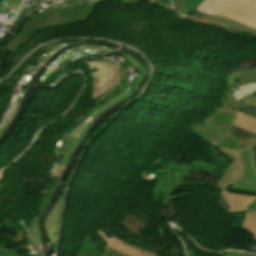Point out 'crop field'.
I'll list each match as a JSON object with an SVG mask.
<instances>
[{
	"mask_svg": "<svg viewBox=\"0 0 256 256\" xmlns=\"http://www.w3.org/2000/svg\"><path fill=\"white\" fill-rule=\"evenodd\" d=\"M136 1L139 0H122L123 3L127 4ZM96 3H102V0H72L68 7L62 8L60 4H57L59 9L55 11L52 6L46 7L44 17L28 14L25 19L26 24L21 32L4 50L15 54L18 48L31 37L30 35L49 26L70 25L87 21Z\"/></svg>",
	"mask_w": 256,
	"mask_h": 256,
	"instance_id": "crop-field-1",
	"label": "crop field"
},
{
	"mask_svg": "<svg viewBox=\"0 0 256 256\" xmlns=\"http://www.w3.org/2000/svg\"><path fill=\"white\" fill-rule=\"evenodd\" d=\"M197 10L225 16L256 29V0H206Z\"/></svg>",
	"mask_w": 256,
	"mask_h": 256,
	"instance_id": "crop-field-2",
	"label": "crop field"
},
{
	"mask_svg": "<svg viewBox=\"0 0 256 256\" xmlns=\"http://www.w3.org/2000/svg\"><path fill=\"white\" fill-rule=\"evenodd\" d=\"M84 63L98 69L96 72H91L93 99L108 92L119 81L121 70L118 66L101 60L88 61Z\"/></svg>",
	"mask_w": 256,
	"mask_h": 256,
	"instance_id": "crop-field-3",
	"label": "crop field"
},
{
	"mask_svg": "<svg viewBox=\"0 0 256 256\" xmlns=\"http://www.w3.org/2000/svg\"><path fill=\"white\" fill-rule=\"evenodd\" d=\"M228 90L234 98H242L256 93V69L242 73L232 74L227 78Z\"/></svg>",
	"mask_w": 256,
	"mask_h": 256,
	"instance_id": "crop-field-4",
	"label": "crop field"
},
{
	"mask_svg": "<svg viewBox=\"0 0 256 256\" xmlns=\"http://www.w3.org/2000/svg\"><path fill=\"white\" fill-rule=\"evenodd\" d=\"M241 155L244 166V176L229 188L256 193V174L254 173L251 160V151H241Z\"/></svg>",
	"mask_w": 256,
	"mask_h": 256,
	"instance_id": "crop-field-5",
	"label": "crop field"
},
{
	"mask_svg": "<svg viewBox=\"0 0 256 256\" xmlns=\"http://www.w3.org/2000/svg\"><path fill=\"white\" fill-rule=\"evenodd\" d=\"M221 151H223L225 154L236 157V159L233 161L231 168L229 171L225 172L223 176L217 181L216 186L219 189H225L228 188L232 183L239 180L243 176V167H242V160L241 155L238 156L237 152H230L228 150L219 148Z\"/></svg>",
	"mask_w": 256,
	"mask_h": 256,
	"instance_id": "crop-field-6",
	"label": "crop field"
},
{
	"mask_svg": "<svg viewBox=\"0 0 256 256\" xmlns=\"http://www.w3.org/2000/svg\"><path fill=\"white\" fill-rule=\"evenodd\" d=\"M221 196L230 207L226 212L234 213L246 210L251 202L256 198L253 196L239 195L228 193L226 190H221Z\"/></svg>",
	"mask_w": 256,
	"mask_h": 256,
	"instance_id": "crop-field-7",
	"label": "crop field"
},
{
	"mask_svg": "<svg viewBox=\"0 0 256 256\" xmlns=\"http://www.w3.org/2000/svg\"><path fill=\"white\" fill-rule=\"evenodd\" d=\"M204 123V126L196 125L190 129L194 131L197 135H199L202 139H204L207 143H211L212 141H218L226 134V132H224L225 130L223 131L215 124L207 120H205Z\"/></svg>",
	"mask_w": 256,
	"mask_h": 256,
	"instance_id": "crop-field-8",
	"label": "crop field"
},
{
	"mask_svg": "<svg viewBox=\"0 0 256 256\" xmlns=\"http://www.w3.org/2000/svg\"><path fill=\"white\" fill-rule=\"evenodd\" d=\"M188 17H194V18H200V19H208V20H216V21H220V22H224L226 23L227 25L235 28V29H238L240 31H243V32H246V33H250V34H253V35H256V30L254 29H251L247 26H244L238 22H235L233 20H230L228 18H224V17H220V16H210V15H207V14H202L198 11H194L192 13H190L188 15Z\"/></svg>",
	"mask_w": 256,
	"mask_h": 256,
	"instance_id": "crop-field-9",
	"label": "crop field"
},
{
	"mask_svg": "<svg viewBox=\"0 0 256 256\" xmlns=\"http://www.w3.org/2000/svg\"><path fill=\"white\" fill-rule=\"evenodd\" d=\"M61 200H62V197L60 198V201L54 206L53 210L48 214L46 220L44 221V227L47 231V235L51 244H54L56 240V238L52 235V233L57 231Z\"/></svg>",
	"mask_w": 256,
	"mask_h": 256,
	"instance_id": "crop-field-10",
	"label": "crop field"
},
{
	"mask_svg": "<svg viewBox=\"0 0 256 256\" xmlns=\"http://www.w3.org/2000/svg\"><path fill=\"white\" fill-rule=\"evenodd\" d=\"M108 247L115 249L117 251L123 252L129 256H155L156 254L148 253L130 245H126L116 238L112 237Z\"/></svg>",
	"mask_w": 256,
	"mask_h": 256,
	"instance_id": "crop-field-11",
	"label": "crop field"
},
{
	"mask_svg": "<svg viewBox=\"0 0 256 256\" xmlns=\"http://www.w3.org/2000/svg\"><path fill=\"white\" fill-rule=\"evenodd\" d=\"M229 133L238 139L253 145V162L256 170V135L248 133L238 127L232 125Z\"/></svg>",
	"mask_w": 256,
	"mask_h": 256,
	"instance_id": "crop-field-12",
	"label": "crop field"
},
{
	"mask_svg": "<svg viewBox=\"0 0 256 256\" xmlns=\"http://www.w3.org/2000/svg\"><path fill=\"white\" fill-rule=\"evenodd\" d=\"M233 124L248 132L256 134V119L252 117L237 111L236 119Z\"/></svg>",
	"mask_w": 256,
	"mask_h": 256,
	"instance_id": "crop-field-13",
	"label": "crop field"
},
{
	"mask_svg": "<svg viewBox=\"0 0 256 256\" xmlns=\"http://www.w3.org/2000/svg\"><path fill=\"white\" fill-rule=\"evenodd\" d=\"M122 224L125 227H127L130 232H132L133 234L139 235V236H141L140 231H139L140 227L144 228V225H145L142 222L138 221L134 215H127L126 218L123 220ZM141 237H143V236H141ZM144 238H146V237H144ZM147 239H149V238H147ZM150 240H153V239H150Z\"/></svg>",
	"mask_w": 256,
	"mask_h": 256,
	"instance_id": "crop-field-14",
	"label": "crop field"
},
{
	"mask_svg": "<svg viewBox=\"0 0 256 256\" xmlns=\"http://www.w3.org/2000/svg\"><path fill=\"white\" fill-rule=\"evenodd\" d=\"M78 256H103L89 236H86L85 245Z\"/></svg>",
	"mask_w": 256,
	"mask_h": 256,
	"instance_id": "crop-field-15",
	"label": "crop field"
},
{
	"mask_svg": "<svg viewBox=\"0 0 256 256\" xmlns=\"http://www.w3.org/2000/svg\"><path fill=\"white\" fill-rule=\"evenodd\" d=\"M241 229L253 233V238L256 239V214L246 213L244 224Z\"/></svg>",
	"mask_w": 256,
	"mask_h": 256,
	"instance_id": "crop-field-16",
	"label": "crop field"
},
{
	"mask_svg": "<svg viewBox=\"0 0 256 256\" xmlns=\"http://www.w3.org/2000/svg\"><path fill=\"white\" fill-rule=\"evenodd\" d=\"M237 110L256 118V107L255 106H251V105H248V104L240 101V102H238Z\"/></svg>",
	"mask_w": 256,
	"mask_h": 256,
	"instance_id": "crop-field-17",
	"label": "crop field"
},
{
	"mask_svg": "<svg viewBox=\"0 0 256 256\" xmlns=\"http://www.w3.org/2000/svg\"><path fill=\"white\" fill-rule=\"evenodd\" d=\"M191 19L192 21L194 22H198V23H204V24H211V25H215V26H218V27H221V28H225L227 29L230 33H236L237 30L233 29V28H230L226 25H223L221 23H217V22H213V21H207V20H200V19H192V18H189Z\"/></svg>",
	"mask_w": 256,
	"mask_h": 256,
	"instance_id": "crop-field-18",
	"label": "crop field"
},
{
	"mask_svg": "<svg viewBox=\"0 0 256 256\" xmlns=\"http://www.w3.org/2000/svg\"><path fill=\"white\" fill-rule=\"evenodd\" d=\"M205 0H185V6L188 13L197 9V7Z\"/></svg>",
	"mask_w": 256,
	"mask_h": 256,
	"instance_id": "crop-field-19",
	"label": "crop field"
},
{
	"mask_svg": "<svg viewBox=\"0 0 256 256\" xmlns=\"http://www.w3.org/2000/svg\"><path fill=\"white\" fill-rule=\"evenodd\" d=\"M175 9L182 15L186 16L188 13L184 6V0H172Z\"/></svg>",
	"mask_w": 256,
	"mask_h": 256,
	"instance_id": "crop-field-20",
	"label": "crop field"
},
{
	"mask_svg": "<svg viewBox=\"0 0 256 256\" xmlns=\"http://www.w3.org/2000/svg\"><path fill=\"white\" fill-rule=\"evenodd\" d=\"M39 219L40 217H37V216L35 217L34 223L32 225V230L34 231L38 241L41 242L40 234H39Z\"/></svg>",
	"mask_w": 256,
	"mask_h": 256,
	"instance_id": "crop-field-21",
	"label": "crop field"
},
{
	"mask_svg": "<svg viewBox=\"0 0 256 256\" xmlns=\"http://www.w3.org/2000/svg\"><path fill=\"white\" fill-rule=\"evenodd\" d=\"M226 100H227V103L230 105V107L235 110L237 102L229 92H226Z\"/></svg>",
	"mask_w": 256,
	"mask_h": 256,
	"instance_id": "crop-field-22",
	"label": "crop field"
},
{
	"mask_svg": "<svg viewBox=\"0 0 256 256\" xmlns=\"http://www.w3.org/2000/svg\"><path fill=\"white\" fill-rule=\"evenodd\" d=\"M28 11H29V9L27 10V12H26V14H25V16H24L23 19H20V20L17 21L16 25L14 26V28H13V30H12L13 32L19 33L20 29H21L22 26L24 25V22H23V21H24L26 15L28 14Z\"/></svg>",
	"mask_w": 256,
	"mask_h": 256,
	"instance_id": "crop-field-23",
	"label": "crop field"
},
{
	"mask_svg": "<svg viewBox=\"0 0 256 256\" xmlns=\"http://www.w3.org/2000/svg\"><path fill=\"white\" fill-rule=\"evenodd\" d=\"M106 256H127L123 253L117 252L107 247Z\"/></svg>",
	"mask_w": 256,
	"mask_h": 256,
	"instance_id": "crop-field-24",
	"label": "crop field"
},
{
	"mask_svg": "<svg viewBox=\"0 0 256 256\" xmlns=\"http://www.w3.org/2000/svg\"><path fill=\"white\" fill-rule=\"evenodd\" d=\"M222 104L224 111L234 116L235 111L229 108V105L226 103L225 98L222 99Z\"/></svg>",
	"mask_w": 256,
	"mask_h": 256,
	"instance_id": "crop-field-25",
	"label": "crop field"
},
{
	"mask_svg": "<svg viewBox=\"0 0 256 256\" xmlns=\"http://www.w3.org/2000/svg\"><path fill=\"white\" fill-rule=\"evenodd\" d=\"M148 2L151 4H155V5H162L163 7L167 8L169 10L175 11L172 6L160 4L159 0H148Z\"/></svg>",
	"mask_w": 256,
	"mask_h": 256,
	"instance_id": "crop-field-26",
	"label": "crop field"
},
{
	"mask_svg": "<svg viewBox=\"0 0 256 256\" xmlns=\"http://www.w3.org/2000/svg\"><path fill=\"white\" fill-rule=\"evenodd\" d=\"M242 101L247 102V103L252 104V105H256V99H254L250 96L242 99Z\"/></svg>",
	"mask_w": 256,
	"mask_h": 256,
	"instance_id": "crop-field-27",
	"label": "crop field"
},
{
	"mask_svg": "<svg viewBox=\"0 0 256 256\" xmlns=\"http://www.w3.org/2000/svg\"><path fill=\"white\" fill-rule=\"evenodd\" d=\"M225 256H247V255H245L244 253H241V252L231 251V252L225 254Z\"/></svg>",
	"mask_w": 256,
	"mask_h": 256,
	"instance_id": "crop-field-28",
	"label": "crop field"
},
{
	"mask_svg": "<svg viewBox=\"0 0 256 256\" xmlns=\"http://www.w3.org/2000/svg\"><path fill=\"white\" fill-rule=\"evenodd\" d=\"M7 3H12V4H15V5H18L20 4L21 0H3Z\"/></svg>",
	"mask_w": 256,
	"mask_h": 256,
	"instance_id": "crop-field-29",
	"label": "crop field"
},
{
	"mask_svg": "<svg viewBox=\"0 0 256 256\" xmlns=\"http://www.w3.org/2000/svg\"><path fill=\"white\" fill-rule=\"evenodd\" d=\"M97 233H99L101 235V237L108 242V240L110 239L107 235H105L101 230H99Z\"/></svg>",
	"mask_w": 256,
	"mask_h": 256,
	"instance_id": "crop-field-30",
	"label": "crop field"
},
{
	"mask_svg": "<svg viewBox=\"0 0 256 256\" xmlns=\"http://www.w3.org/2000/svg\"><path fill=\"white\" fill-rule=\"evenodd\" d=\"M252 97H254V98H256V95L255 94H253V95H251Z\"/></svg>",
	"mask_w": 256,
	"mask_h": 256,
	"instance_id": "crop-field-31",
	"label": "crop field"
}]
</instances>
